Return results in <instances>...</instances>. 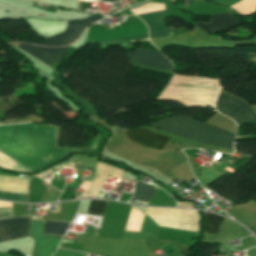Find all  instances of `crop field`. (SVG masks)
Listing matches in <instances>:
<instances>
[{"mask_svg":"<svg viewBox=\"0 0 256 256\" xmlns=\"http://www.w3.org/2000/svg\"><path fill=\"white\" fill-rule=\"evenodd\" d=\"M55 128L36 124L0 127V150L30 171L79 150L53 148Z\"/></svg>","mask_w":256,"mask_h":256,"instance_id":"crop-field-1","label":"crop field"},{"mask_svg":"<svg viewBox=\"0 0 256 256\" xmlns=\"http://www.w3.org/2000/svg\"><path fill=\"white\" fill-rule=\"evenodd\" d=\"M149 126L173 133L182 138L204 142L210 145L233 149L235 135L215 126L198 122L187 117H168Z\"/></svg>","mask_w":256,"mask_h":256,"instance_id":"crop-field-2","label":"crop field"},{"mask_svg":"<svg viewBox=\"0 0 256 256\" xmlns=\"http://www.w3.org/2000/svg\"><path fill=\"white\" fill-rule=\"evenodd\" d=\"M159 226L196 232L199 217L194 210L148 208L146 213Z\"/></svg>","mask_w":256,"mask_h":256,"instance_id":"crop-field-3","label":"crop field"},{"mask_svg":"<svg viewBox=\"0 0 256 256\" xmlns=\"http://www.w3.org/2000/svg\"><path fill=\"white\" fill-rule=\"evenodd\" d=\"M216 109L223 115L231 117L237 125L247 122L254 123L256 120V116L251 108L240 100L232 98L222 92H220L218 96Z\"/></svg>","mask_w":256,"mask_h":256,"instance_id":"crop-field-4","label":"crop field"},{"mask_svg":"<svg viewBox=\"0 0 256 256\" xmlns=\"http://www.w3.org/2000/svg\"><path fill=\"white\" fill-rule=\"evenodd\" d=\"M45 220L32 219L30 236L34 239V256H51L55 251L61 235H42ZM62 240V239H61Z\"/></svg>","mask_w":256,"mask_h":256,"instance_id":"crop-field-5","label":"crop field"},{"mask_svg":"<svg viewBox=\"0 0 256 256\" xmlns=\"http://www.w3.org/2000/svg\"><path fill=\"white\" fill-rule=\"evenodd\" d=\"M104 17H92L83 20H70L67 24V29L65 32L48 38L37 44H42L46 46H62L73 42L82 30L89 26L90 24L102 19Z\"/></svg>","mask_w":256,"mask_h":256,"instance_id":"crop-field-6","label":"crop field"},{"mask_svg":"<svg viewBox=\"0 0 256 256\" xmlns=\"http://www.w3.org/2000/svg\"><path fill=\"white\" fill-rule=\"evenodd\" d=\"M124 171L108 164L98 162L97 171L92 182L83 180L80 188L84 189L81 197H100L99 193L107 175L121 178Z\"/></svg>","mask_w":256,"mask_h":256,"instance_id":"crop-field-7","label":"crop field"},{"mask_svg":"<svg viewBox=\"0 0 256 256\" xmlns=\"http://www.w3.org/2000/svg\"><path fill=\"white\" fill-rule=\"evenodd\" d=\"M29 218H9L0 220V243L28 238Z\"/></svg>","mask_w":256,"mask_h":256,"instance_id":"crop-field-8","label":"crop field"},{"mask_svg":"<svg viewBox=\"0 0 256 256\" xmlns=\"http://www.w3.org/2000/svg\"><path fill=\"white\" fill-rule=\"evenodd\" d=\"M10 44L32 54L33 56H35L36 58H38L39 60L43 61L48 65L62 60V58L65 56L68 50V47L44 48L27 45L19 42H11Z\"/></svg>","mask_w":256,"mask_h":256,"instance_id":"crop-field-9","label":"crop field"},{"mask_svg":"<svg viewBox=\"0 0 256 256\" xmlns=\"http://www.w3.org/2000/svg\"><path fill=\"white\" fill-rule=\"evenodd\" d=\"M122 135L126 140L132 143L151 147L158 150H160L162 144L169 138L144 130L142 128L133 131L124 130Z\"/></svg>","mask_w":256,"mask_h":256,"instance_id":"crop-field-10","label":"crop field"},{"mask_svg":"<svg viewBox=\"0 0 256 256\" xmlns=\"http://www.w3.org/2000/svg\"><path fill=\"white\" fill-rule=\"evenodd\" d=\"M126 54L130 60V63L133 64H143L162 67L165 69H172L171 63L161 53L158 52L141 49L139 51Z\"/></svg>","mask_w":256,"mask_h":256,"instance_id":"crop-field-11","label":"crop field"},{"mask_svg":"<svg viewBox=\"0 0 256 256\" xmlns=\"http://www.w3.org/2000/svg\"><path fill=\"white\" fill-rule=\"evenodd\" d=\"M139 17L148 25L150 39L169 37L163 22L165 19V10L139 15Z\"/></svg>","mask_w":256,"mask_h":256,"instance_id":"crop-field-12","label":"crop field"},{"mask_svg":"<svg viewBox=\"0 0 256 256\" xmlns=\"http://www.w3.org/2000/svg\"><path fill=\"white\" fill-rule=\"evenodd\" d=\"M212 22L210 24H201L196 22V26L203 31L211 34L224 32L231 27L240 25L241 23L236 18L232 17L230 13L221 15H212Z\"/></svg>","mask_w":256,"mask_h":256,"instance_id":"crop-field-13","label":"crop field"},{"mask_svg":"<svg viewBox=\"0 0 256 256\" xmlns=\"http://www.w3.org/2000/svg\"><path fill=\"white\" fill-rule=\"evenodd\" d=\"M56 80L54 81L53 84L61 87L65 93V96H67L73 102L78 104L83 109V111H85L87 117L97 113L96 110L92 107V105L88 101L78 97L69 88L65 87L64 85H62L60 82Z\"/></svg>","mask_w":256,"mask_h":256,"instance_id":"crop-field-14","label":"crop field"},{"mask_svg":"<svg viewBox=\"0 0 256 256\" xmlns=\"http://www.w3.org/2000/svg\"><path fill=\"white\" fill-rule=\"evenodd\" d=\"M148 36L141 37H124V38H101V39H87L85 44L99 43L105 46L109 45H126L132 43V40H146ZM84 44V45H85Z\"/></svg>","mask_w":256,"mask_h":256,"instance_id":"crop-field-15","label":"crop field"},{"mask_svg":"<svg viewBox=\"0 0 256 256\" xmlns=\"http://www.w3.org/2000/svg\"><path fill=\"white\" fill-rule=\"evenodd\" d=\"M0 189H8V190L27 192V187L6 185V184H0ZM0 198L14 200V201H20V202H26V195H23V194L0 192Z\"/></svg>","mask_w":256,"mask_h":256,"instance_id":"crop-field-16","label":"crop field"},{"mask_svg":"<svg viewBox=\"0 0 256 256\" xmlns=\"http://www.w3.org/2000/svg\"><path fill=\"white\" fill-rule=\"evenodd\" d=\"M143 217V213L132 207L125 231L139 232L141 229Z\"/></svg>","mask_w":256,"mask_h":256,"instance_id":"crop-field-17","label":"crop field"},{"mask_svg":"<svg viewBox=\"0 0 256 256\" xmlns=\"http://www.w3.org/2000/svg\"><path fill=\"white\" fill-rule=\"evenodd\" d=\"M206 221L204 223L205 231L207 233H219V225L223 221L224 217H220L211 213H204Z\"/></svg>","mask_w":256,"mask_h":256,"instance_id":"crop-field-18","label":"crop field"},{"mask_svg":"<svg viewBox=\"0 0 256 256\" xmlns=\"http://www.w3.org/2000/svg\"><path fill=\"white\" fill-rule=\"evenodd\" d=\"M70 223L57 222V221H46L44 233H53V234H65Z\"/></svg>","mask_w":256,"mask_h":256,"instance_id":"crop-field-19","label":"crop field"},{"mask_svg":"<svg viewBox=\"0 0 256 256\" xmlns=\"http://www.w3.org/2000/svg\"><path fill=\"white\" fill-rule=\"evenodd\" d=\"M154 192H155V190L150 189L140 183H137V185L135 187L134 198H136L140 201L148 202L150 200V198L152 197V195L154 194Z\"/></svg>","mask_w":256,"mask_h":256,"instance_id":"crop-field-20","label":"crop field"},{"mask_svg":"<svg viewBox=\"0 0 256 256\" xmlns=\"http://www.w3.org/2000/svg\"><path fill=\"white\" fill-rule=\"evenodd\" d=\"M107 202L105 200H91L87 213L103 216Z\"/></svg>","mask_w":256,"mask_h":256,"instance_id":"crop-field-21","label":"crop field"},{"mask_svg":"<svg viewBox=\"0 0 256 256\" xmlns=\"http://www.w3.org/2000/svg\"><path fill=\"white\" fill-rule=\"evenodd\" d=\"M0 166L12 168V169L23 170V171H28V170L24 169L23 167H21L19 164H17L15 161H13L8 156L2 154L1 152H0Z\"/></svg>","mask_w":256,"mask_h":256,"instance_id":"crop-field-22","label":"crop field"},{"mask_svg":"<svg viewBox=\"0 0 256 256\" xmlns=\"http://www.w3.org/2000/svg\"><path fill=\"white\" fill-rule=\"evenodd\" d=\"M12 217V208H0V219Z\"/></svg>","mask_w":256,"mask_h":256,"instance_id":"crop-field-23","label":"crop field"},{"mask_svg":"<svg viewBox=\"0 0 256 256\" xmlns=\"http://www.w3.org/2000/svg\"><path fill=\"white\" fill-rule=\"evenodd\" d=\"M178 207H191L193 208V204H190V203H178Z\"/></svg>","mask_w":256,"mask_h":256,"instance_id":"crop-field-24","label":"crop field"},{"mask_svg":"<svg viewBox=\"0 0 256 256\" xmlns=\"http://www.w3.org/2000/svg\"><path fill=\"white\" fill-rule=\"evenodd\" d=\"M7 256H12V255H9V254H8Z\"/></svg>","mask_w":256,"mask_h":256,"instance_id":"crop-field-25","label":"crop field"},{"mask_svg":"<svg viewBox=\"0 0 256 256\" xmlns=\"http://www.w3.org/2000/svg\"><path fill=\"white\" fill-rule=\"evenodd\" d=\"M1 81V80H0Z\"/></svg>","mask_w":256,"mask_h":256,"instance_id":"crop-field-26","label":"crop field"}]
</instances>
